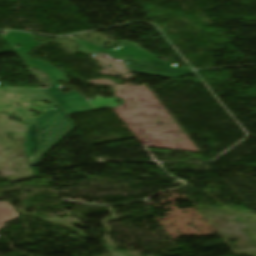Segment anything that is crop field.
I'll use <instances>...</instances> for the list:
<instances>
[{
	"mask_svg": "<svg viewBox=\"0 0 256 256\" xmlns=\"http://www.w3.org/2000/svg\"><path fill=\"white\" fill-rule=\"evenodd\" d=\"M2 37L14 49V51L22 57L26 66L47 73V75L52 80V87L48 89V92L67 114L107 108L125 102L117 97L103 99L100 95H98L95 98V100H93L98 101L97 103L93 101H85L84 96L74 91L62 95L61 91L59 90L61 85L57 84V81L62 80L65 83L68 82L63 72L47 63L36 61L26 56V54L30 51L31 48L39 46L43 43L33 41V36L31 35L11 31L5 32V34ZM15 44H21V48L16 49ZM116 101H120L121 103H116Z\"/></svg>",
	"mask_w": 256,
	"mask_h": 256,
	"instance_id": "1",
	"label": "crop field"
},
{
	"mask_svg": "<svg viewBox=\"0 0 256 256\" xmlns=\"http://www.w3.org/2000/svg\"><path fill=\"white\" fill-rule=\"evenodd\" d=\"M11 95H13V94L7 93L6 96L9 97V96H11ZM11 97H12V96H11ZM18 97H20V96H17V95H16L15 98H14V100H12V99H10V98H3V100H7V101H9V102L15 103V105H16V103L20 104V103H19L20 101L16 100V99H21V98H18ZM26 102H27L29 105H27V106H24V105H22V104H20V105H21L22 107H26V108H28V109H31V110H33V111H36V112H38V113H40V114L43 113L45 110H47V109L44 108L45 106H41V105H39V106H41L40 108L32 107L30 104H33V105L37 104L35 101H26ZM37 105H38V104H37ZM13 107H14V105H12V104L0 102V112L4 111V110L6 109L8 112H14V113L18 114V117H19V118H22V121L25 122L26 124L36 123V122H35V119H33V118H28V117L25 115V114H30V113L27 112L25 109H23V108L14 109ZM8 108H11V109L8 110ZM12 109L15 110V111H12Z\"/></svg>",
	"mask_w": 256,
	"mask_h": 256,
	"instance_id": "3",
	"label": "crop field"
},
{
	"mask_svg": "<svg viewBox=\"0 0 256 256\" xmlns=\"http://www.w3.org/2000/svg\"><path fill=\"white\" fill-rule=\"evenodd\" d=\"M18 217L13 207L8 202H0V230L4 228L6 222Z\"/></svg>",
	"mask_w": 256,
	"mask_h": 256,
	"instance_id": "4",
	"label": "crop field"
},
{
	"mask_svg": "<svg viewBox=\"0 0 256 256\" xmlns=\"http://www.w3.org/2000/svg\"><path fill=\"white\" fill-rule=\"evenodd\" d=\"M75 43L81 45L79 51L87 55L104 52L113 58L129 61L131 72L168 78L193 74L191 69L173 67L169 63L158 60L150 53L139 48L138 45L125 41H120V48L116 50H105L82 40H76Z\"/></svg>",
	"mask_w": 256,
	"mask_h": 256,
	"instance_id": "2",
	"label": "crop field"
},
{
	"mask_svg": "<svg viewBox=\"0 0 256 256\" xmlns=\"http://www.w3.org/2000/svg\"><path fill=\"white\" fill-rule=\"evenodd\" d=\"M0 79H2V78H0Z\"/></svg>",
	"mask_w": 256,
	"mask_h": 256,
	"instance_id": "6",
	"label": "crop field"
},
{
	"mask_svg": "<svg viewBox=\"0 0 256 256\" xmlns=\"http://www.w3.org/2000/svg\"><path fill=\"white\" fill-rule=\"evenodd\" d=\"M54 106H55V105H54ZM52 107H53V106H52ZM52 107H51V108H52ZM51 108H50V109H51ZM50 109H49V110H50ZM37 119H38V118H37ZM37 154H38V153H37Z\"/></svg>",
	"mask_w": 256,
	"mask_h": 256,
	"instance_id": "5",
	"label": "crop field"
}]
</instances>
